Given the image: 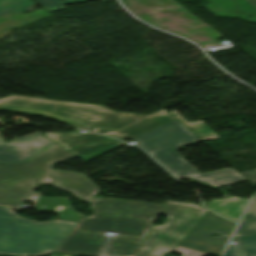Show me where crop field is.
Returning <instances> with one entry per match:
<instances>
[{"mask_svg":"<svg viewBox=\"0 0 256 256\" xmlns=\"http://www.w3.org/2000/svg\"><path fill=\"white\" fill-rule=\"evenodd\" d=\"M234 227L235 224L213 213H207L173 252L185 256H204L207 253L221 256ZM214 232L222 236H209Z\"/></svg>","mask_w":256,"mask_h":256,"instance_id":"e52e79f7","label":"crop field"},{"mask_svg":"<svg viewBox=\"0 0 256 256\" xmlns=\"http://www.w3.org/2000/svg\"><path fill=\"white\" fill-rule=\"evenodd\" d=\"M32 0H0V15L34 10Z\"/></svg>","mask_w":256,"mask_h":256,"instance_id":"5142ce71","label":"crop field"},{"mask_svg":"<svg viewBox=\"0 0 256 256\" xmlns=\"http://www.w3.org/2000/svg\"><path fill=\"white\" fill-rule=\"evenodd\" d=\"M123 144H124L123 142H120L118 140H113V141L78 146L69 151L83 160H89L107 151L115 149Z\"/></svg>","mask_w":256,"mask_h":256,"instance_id":"d1516ede","label":"crop field"},{"mask_svg":"<svg viewBox=\"0 0 256 256\" xmlns=\"http://www.w3.org/2000/svg\"><path fill=\"white\" fill-rule=\"evenodd\" d=\"M75 224L62 220L38 223L17 216L12 209L0 207V254H48L56 249Z\"/></svg>","mask_w":256,"mask_h":256,"instance_id":"f4fd0767","label":"crop field"},{"mask_svg":"<svg viewBox=\"0 0 256 256\" xmlns=\"http://www.w3.org/2000/svg\"><path fill=\"white\" fill-rule=\"evenodd\" d=\"M68 200V198H37L36 208L37 210L61 213L58 218L78 222L82 216L70 208L73 203L68 202ZM56 205L66 207L62 212L53 211Z\"/></svg>","mask_w":256,"mask_h":256,"instance_id":"28ad6ade","label":"crop field"},{"mask_svg":"<svg viewBox=\"0 0 256 256\" xmlns=\"http://www.w3.org/2000/svg\"><path fill=\"white\" fill-rule=\"evenodd\" d=\"M46 137L58 143L66 150H69L77 145L113 140V138L95 133H52L46 134Z\"/></svg>","mask_w":256,"mask_h":256,"instance_id":"5a996713","label":"crop field"},{"mask_svg":"<svg viewBox=\"0 0 256 256\" xmlns=\"http://www.w3.org/2000/svg\"><path fill=\"white\" fill-rule=\"evenodd\" d=\"M236 245L228 246L224 256H247L239 238L232 239Z\"/></svg>","mask_w":256,"mask_h":256,"instance_id":"733c2abd","label":"crop field"},{"mask_svg":"<svg viewBox=\"0 0 256 256\" xmlns=\"http://www.w3.org/2000/svg\"><path fill=\"white\" fill-rule=\"evenodd\" d=\"M240 174L246 177L251 183L256 185V171L249 170V171L241 172Z\"/></svg>","mask_w":256,"mask_h":256,"instance_id":"bc2a9ffb","label":"crop field"},{"mask_svg":"<svg viewBox=\"0 0 256 256\" xmlns=\"http://www.w3.org/2000/svg\"><path fill=\"white\" fill-rule=\"evenodd\" d=\"M33 1L39 4L46 11H50V10L65 8L62 6L65 4L85 2V1H91V0H33ZM104 1H108V0H104Z\"/></svg>","mask_w":256,"mask_h":256,"instance_id":"d9b57169","label":"crop field"},{"mask_svg":"<svg viewBox=\"0 0 256 256\" xmlns=\"http://www.w3.org/2000/svg\"><path fill=\"white\" fill-rule=\"evenodd\" d=\"M249 200L229 196L228 199L212 200L208 209L238 222Z\"/></svg>","mask_w":256,"mask_h":256,"instance_id":"3316defc","label":"crop field"},{"mask_svg":"<svg viewBox=\"0 0 256 256\" xmlns=\"http://www.w3.org/2000/svg\"><path fill=\"white\" fill-rule=\"evenodd\" d=\"M95 212L82 217L55 251L100 256L106 232L109 239L104 256H135L163 205L95 198Z\"/></svg>","mask_w":256,"mask_h":256,"instance_id":"8a807250","label":"crop field"},{"mask_svg":"<svg viewBox=\"0 0 256 256\" xmlns=\"http://www.w3.org/2000/svg\"><path fill=\"white\" fill-rule=\"evenodd\" d=\"M58 144L22 164L0 163V206L17 209L30 200L35 184H51L92 202L97 187L83 174L52 169L53 163L74 158Z\"/></svg>","mask_w":256,"mask_h":256,"instance_id":"34b2d1b8","label":"crop field"},{"mask_svg":"<svg viewBox=\"0 0 256 256\" xmlns=\"http://www.w3.org/2000/svg\"><path fill=\"white\" fill-rule=\"evenodd\" d=\"M256 234V197L253 198L233 238Z\"/></svg>","mask_w":256,"mask_h":256,"instance_id":"cbeb9de0","label":"crop field"},{"mask_svg":"<svg viewBox=\"0 0 256 256\" xmlns=\"http://www.w3.org/2000/svg\"><path fill=\"white\" fill-rule=\"evenodd\" d=\"M207 210L194 204L167 201L161 214L168 216L164 226H152L136 256H162L200 220Z\"/></svg>","mask_w":256,"mask_h":256,"instance_id":"dd49c442","label":"crop field"},{"mask_svg":"<svg viewBox=\"0 0 256 256\" xmlns=\"http://www.w3.org/2000/svg\"><path fill=\"white\" fill-rule=\"evenodd\" d=\"M256 170V169H255Z\"/></svg>","mask_w":256,"mask_h":256,"instance_id":"92a150f3","label":"crop field"},{"mask_svg":"<svg viewBox=\"0 0 256 256\" xmlns=\"http://www.w3.org/2000/svg\"><path fill=\"white\" fill-rule=\"evenodd\" d=\"M170 114L201 141L219 138L214 132H212L213 130L211 129V131L202 121L189 123L176 111H172Z\"/></svg>","mask_w":256,"mask_h":256,"instance_id":"22f410ed","label":"crop field"},{"mask_svg":"<svg viewBox=\"0 0 256 256\" xmlns=\"http://www.w3.org/2000/svg\"><path fill=\"white\" fill-rule=\"evenodd\" d=\"M249 2H251L254 6H256V0H248Z\"/></svg>","mask_w":256,"mask_h":256,"instance_id":"214f88e0","label":"crop field"},{"mask_svg":"<svg viewBox=\"0 0 256 256\" xmlns=\"http://www.w3.org/2000/svg\"><path fill=\"white\" fill-rule=\"evenodd\" d=\"M0 110L40 115L119 139L134 138L175 119L163 109L150 116H143L114 112L99 105L16 95L0 99Z\"/></svg>","mask_w":256,"mask_h":256,"instance_id":"ac0d7876","label":"crop field"},{"mask_svg":"<svg viewBox=\"0 0 256 256\" xmlns=\"http://www.w3.org/2000/svg\"><path fill=\"white\" fill-rule=\"evenodd\" d=\"M192 134L175 119L132 140L177 179L189 177L213 187L247 180L234 169L200 175L174 151L185 144L199 141Z\"/></svg>","mask_w":256,"mask_h":256,"instance_id":"412701ff","label":"crop field"},{"mask_svg":"<svg viewBox=\"0 0 256 256\" xmlns=\"http://www.w3.org/2000/svg\"><path fill=\"white\" fill-rule=\"evenodd\" d=\"M52 143L54 142L38 133L8 143L0 138V161L24 162Z\"/></svg>","mask_w":256,"mask_h":256,"instance_id":"d8731c3e","label":"crop field"},{"mask_svg":"<svg viewBox=\"0 0 256 256\" xmlns=\"http://www.w3.org/2000/svg\"><path fill=\"white\" fill-rule=\"evenodd\" d=\"M248 255L256 256V235L240 238Z\"/></svg>","mask_w":256,"mask_h":256,"instance_id":"4a817a6b","label":"crop field"}]
</instances>
